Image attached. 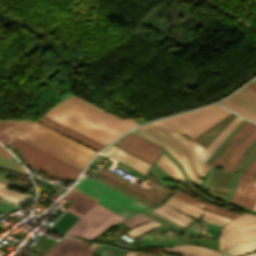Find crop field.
Here are the masks:
<instances>
[{
  "instance_id": "crop-field-2",
  "label": "crop field",
  "mask_w": 256,
  "mask_h": 256,
  "mask_svg": "<svg viewBox=\"0 0 256 256\" xmlns=\"http://www.w3.org/2000/svg\"><path fill=\"white\" fill-rule=\"evenodd\" d=\"M45 116L104 145L122 134L62 103L52 108Z\"/></svg>"
},
{
  "instance_id": "crop-field-47",
  "label": "crop field",
  "mask_w": 256,
  "mask_h": 256,
  "mask_svg": "<svg viewBox=\"0 0 256 256\" xmlns=\"http://www.w3.org/2000/svg\"><path fill=\"white\" fill-rule=\"evenodd\" d=\"M223 256H228V255H225V254H222Z\"/></svg>"
},
{
  "instance_id": "crop-field-39",
  "label": "crop field",
  "mask_w": 256,
  "mask_h": 256,
  "mask_svg": "<svg viewBox=\"0 0 256 256\" xmlns=\"http://www.w3.org/2000/svg\"><path fill=\"white\" fill-rule=\"evenodd\" d=\"M200 228H201L200 225H198V224L193 222L183 232H181V234L190 235V236H196L198 234Z\"/></svg>"
},
{
  "instance_id": "crop-field-34",
  "label": "crop field",
  "mask_w": 256,
  "mask_h": 256,
  "mask_svg": "<svg viewBox=\"0 0 256 256\" xmlns=\"http://www.w3.org/2000/svg\"><path fill=\"white\" fill-rule=\"evenodd\" d=\"M0 166L4 167V168H7L9 170L27 175L18 162L7 159V158H4V157H1V156H0Z\"/></svg>"
},
{
  "instance_id": "crop-field-11",
  "label": "crop field",
  "mask_w": 256,
  "mask_h": 256,
  "mask_svg": "<svg viewBox=\"0 0 256 256\" xmlns=\"http://www.w3.org/2000/svg\"><path fill=\"white\" fill-rule=\"evenodd\" d=\"M127 135V134H126ZM126 151L138 156L139 158L149 162L155 160L162 148L130 133L119 141L113 143Z\"/></svg>"
},
{
  "instance_id": "crop-field-14",
  "label": "crop field",
  "mask_w": 256,
  "mask_h": 256,
  "mask_svg": "<svg viewBox=\"0 0 256 256\" xmlns=\"http://www.w3.org/2000/svg\"><path fill=\"white\" fill-rule=\"evenodd\" d=\"M109 178H111L112 180L128 187L129 189L143 195L144 197L156 202V203H160L164 197L169 193V190L167 188H163V189H157V190H151V191H147L135 184H133L132 182L118 176L117 174L105 169V168H101L99 171H97Z\"/></svg>"
},
{
  "instance_id": "crop-field-22",
  "label": "crop field",
  "mask_w": 256,
  "mask_h": 256,
  "mask_svg": "<svg viewBox=\"0 0 256 256\" xmlns=\"http://www.w3.org/2000/svg\"><path fill=\"white\" fill-rule=\"evenodd\" d=\"M164 250L174 254H179L182 256H220L219 252L217 251H213L207 248L194 246V245L173 246L172 249L166 247ZM161 256H170V255L161 253Z\"/></svg>"
},
{
  "instance_id": "crop-field-41",
  "label": "crop field",
  "mask_w": 256,
  "mask_h": 256,
  "mask_svg": "<svg viewBox=\"0 0 256 256\" xmlns=\"http://www.w3.org/2000/svg\"><path fill=\"white\" fill-rule=\"evenodd\" d=\"M0 155L10 158L12 155L0 145Z\"/></svg>"
},
{
  "instance_id": "crop-field-43",
  "label": "crop field",
  "mask_w": 256,
  "mask_h": 256,
  "mask_svg": "<svg viewBox=\"0 0 256 256\" xmlns=\"http://www.w3.org/2000/svg\"><path fill=\"white\" fill-rule=\"evenodd\" d=\"M240 91H242V92H244V93H246V94H248V95H250V96L256 98V94H254V93H252V92H250V91H248V90H246V89H244V88L241 89Z\"/></svg>"
},
{
  "instance_id": "crop-field-9",
  "label": "crop field",
  "mask_w": 256,
  "mask_h": 256,
  "mask_svg": "<svg viewBox=\"0 0 256 256\" xmlns=\"http://www.w3.org/2000/svg\"><path fill=\"white\" fill-rule=\"evenodd\" d=\"M73 96L66 99L65 101H63V103L115 128L123 133L138 125L130 119L120 120V119H118V118L84 102V101L77 99L78 97L75 98L76 96L75 97H73Z\"/></svg>"
},
{
  "instance_id": "crop-field-23",
  "label": "crop field",
  "mask_w": 256,
  "mask_h": 256,
  "mask_svg": "<svg viewBox=\"0 0 256 256\" xmlns=\"http://www.w3.org/2000/svg\"><path fill=\"white\" fill-rule=\"evenodd\" d=\"M86 195L72 188L63 197L74 202L69 207L83 214L98 202Z\"/></svg>"
},
{
  "instance_id": "crop-field-46",
  "label": "crop field",
  "mask_w": 256,
  "mask_h": 256,
  "mask_svg": "<svg viewBox=\"0 0 256 256\" xmlns=\"http://www.w3.org/2000/svg\"><path fill=\"white\" fill-rule=\"evenodd\" d=\"M139 256H148V255L140 254Z\"/></svg>"
},
{
  "instance_id": "crop-field-4",
  "label": "crop field",
  "mask_w": 256,
  "mask_h": 256,
  "mask_svg": "<svg viewBox=\"0 0 256 256\" xmlns=\"http://www.w3.org/2000/svg\"><path fill=\"white\" fill-rule=\"evenodd\" d=\"M73 188L98 200L97 204L127 218L137 212L149 209L148 207L132 200L131 198L111 189L110 187L94 180L84 178Z\"/></svg>"
},
{
  "instance_id": "crop-field-28",
  "label": "crop field",
  "mask_w": 256,
  "mask_h": 256,
  "mask_svg": "<svg viewBox=\"0 0 256 256\" xmlns=\"http://www.w3.org/2000/svg\"><path fill=\"white\" fill-rule=\"evenodd\" d=\"M173 197L177 198V199H180L182 201H185L189 204H192L194 206H197L201 209L205 208V209H208V210H211V211H214V212H217L219 214H222V215H225V216H228V217H235L237 216L238 214H235V213H232V212H229V211H226V210H223L221 208H218V207H215L213 205H210V204H207V203H204V202H201L199 200H196V199H193L179 191H177Z\"/></svg>"
},
{
  "instance_id": "crop-field-38",
  "label": "crop field",
  "mask_w": 256,
  "mask_h": 256,
  "mask_svg": "<svg viewBox=\"0 0 256 256\" xmlns=\"http://www.w3.org/2000/svg\"><path fill=\"white\" fill-rule=\"evenodd\" d=\"M219 103L228 107V108H230V109H232V110H234V111H236V112H238V113H240V114H242V115H244V116H246V117H248V118H250V119H252V120H254V121H256V116H254V115H252V114H250V113H248V112H246V111H244V110H242V109H240V108H238V107H236V106H234V105H232V104H230V103H228L224 100L219 102Z\"/></svg>"
},
{
  "instance_id": "crop-field-40",
  "label": "crop field",
  "mask_w": 256,
  "mask_h": 256,
  "mask_svg": "<svg viewBox=\"0 0 256 256\" xmlns=\"http://www.w3.org/2000/svg\"><path fill=\"white\" fill-rule=\"evenodd\" d=\"M201 233H203V234H205V235H207L209 237L216 238L218 231L215 230V229H212V228H209V227L205 226L202 229Z\"/></svg>"
},
{
  "instance_id": "crop-field-49",
  "label": "crop field",
  "mask_w": 256,
  "mask_h": 256,
  "mask_svg": "<svg viewBox=\"0 0 256 256\" xmlns=\"http://www.w3.org/2000/svg\"><path fill=\"white\" fill-rule=\"evenodd\" d=\"M255 176H256V174H255Z\"/></svg>"
},
{
  "instance_id": "crop-field-37",
  "label": "crop field",
  "mask_w": 256,
  "mask_h": 256,
  "mask_svg": "<svg viewBox=\"0 0 256 256\" xmlns=\"http://www.w3.org/2000/svg\"><path fill=\"white\" fill-rule=\"evenodd\" d=\"M148 220H151V219H149V218H147V217H145V216H143L141 214H138V215H136V216H134V217H132V218L122 222V223H124L128 227L132 228V227H134V226H136V225H138L140 223L146 222Z\"/></svg>"
},
{
  "instance_id": "crop-field-6",
  "label": "crop field",
  "mask_w": 256,
  "mask_h": 256,
  "mask_svg": "<svg viewBox=\"0 0 256 256\" xmlns=\"http://www.w3.org/2000/svg\"><path fill=\"white\" fill-rule=\"evenodd\" d=\"M67 211L80 218L64 234L80 236L87 239L95 237L110 225L125 219L99 205L93 206L83 215L68 207Z\"/></svg>"
},
{
  "instance_id": "crop-field-18",
  "label": "crop field",
  "mask_w": 256,
  "mask_h": 256,
  "mask_svg": "<svg viewBox=\"0 0 256 256\" xmlns=\"http://www.w3.org/2000/svg\"><path fill=\"white\" fill-rule=\"evenodd\" d=\"M233 175L234 173L215 169L212 180L208 185V188L211 189L210 193L225 198L232 183Z\"/></svg>"
},
{
  "instance_id": "crop-field-10",
  "label": "crop field",
  "mask_w": 256,
  "mask_h": 256,
  "mask_svg": "<svg viewBox=\"0 0 256 256\" xmlns=\"http://www.w3.org/2000/svg\"><path fill=\"white\" fill-rule=\"evenodd\" d=\"M256 157L240 176L237 187L231 196V201L253 208L256 202Z\"/></svg>"
},
{
  "instance_id": "crop-field-27",
  "label": "crop field",
  "mask_w": 256,
  "mask_h": 256,
  "mask_svg": "<svg viewBox=\"0 0 256 256\" xmlns=\"http://www.w3.org/2000/svg\"><path fill=\"white\" fill-rule=\"evenodd\" d=\"M241 120L242 118L237 116L198 157L205 162Z\"/></svg>"
},
{
  "instance_id": "crop-field-26",
  "label": "crop field",
  "mask_w": 256,
  "mask_h": 256,
  "mask_svg": "<svg viewBox=\"0 0 256 256\" xmlns=\"http://www.w3.org/2000/svg\"><path fill=\"white\" fill-rule=\"evenodd\" d=\"M256 225V216L242 214L222 227L221 236Z\"/></svg>"
},
{
  "instance_id": "crop-field-29",
  "label": "crop field",
  "mask_w": 256,
  "mask_h": 256,
  "mask_svg": "<svg viewBox=\"0 0 256 256\" xmlns=\"http://www.w3.org/2000/svg\"><path fill=\"white\" fill-rule=\"evenodd\" d=\"M225 100L256 115V100L239 91Z\"/></svg>"
},
{
  "instance_id": "crop-field-45",
  "label": "crop field",
  "mask_w": 256,
  "mask_h": 256,
  "mask_svg": "<svg viewBox=\"0 0 256 256\" xmlns=\"http://www.w3.org/2000/svg\"><path fill=\"white\" fill-rule=\"evenodd\" d=\"M251 82H253V83H255V84H256V79H255V80H253V81H251Z\"/></svg>"
},
{
  "instance_id": "crop-field-7",
  "label": "crop field",
  "mask_w": 256,
  "mask_h": 256,
  "mask_svg": "<svg viewBox=\"0 0 256 256\" xmlns=\"http://www.w3.org/2000/svg\"><path fill=\"white\" fill-rule=\"evenodd\" d=\"M140 128L174 146L188 159L199 178L205 177L210 167L197 157L205 147L163 126L149 123Z\"/></svg>"
},
{
  "instance_id": "crop-field-3",
  "label": "crop field",
  "mask_w": 256,
  "mask_h": 256,
  "mask_svg": "<svg viewBox=\"0 0 256 256\" xmlns=\"http://www.w3.org/2000/svg\"><path fill=\"white\" fill-rule=\"evenodd\" d=\"M228 113V110L219 105H211L154 123L166 126L193 140Z\"/></svg>"
},
{
  "instance_id": "crop-field-35",
  "label": "crop field",
  "mask_w": 256,
  "mask_h": 256,
  "mask_svg": "<svg viewBox=\"0 0 256 256\" xmlns=\"http://www.w3.org/2000/svg\"><path fill=\"white\" fill-rule=\"evenodd\" d=\"M158 225H160V224L157 223V222H155V221H153V220H151V221H149V222H147V223H144V224H142V225H140V226H138V227H135V228L129 230V231L126 232V233H127L129 236L134 237V236H136V235H138V234H140V233H143V232H145V231H147V230H149V229H151V228H154V227H156V226H158Z\"/></svg>"
},
{
  "instance_id": "crop-field-8",
  "label": "crop field",
  "mask_w": 256,
  "mask_h": 256,
  "mask_svg": "<svg viewBox=\"0 0 256 256\" xmlns=\"http://www.w3.org/2000/svg\"><path fill=\"white\" fill-rule=\"evenodd\" d=\"M165 204L172 206L176 209H179L195 218H198L202 212H205L204 215L202 216V219L220 225L222 226L224 223L228 222L230 219L208 212V211H204L201 210L197 207H194L192 205H189L185 202H182L180 200H177L173 197H171L170 199H168L163 205H161L158 208L152 209L153 211L161 214L162 216L172 220L173 222L185 227L190 221H192V219L178 213L177 211L167 207Z\"/></svg>"
},
{
  "instance_id": "crop-field-25",
  "label": "crop field",
  "mask_w": 256,
  "mask_h": 256,
  "mask_svg": "<svg viewBox=\"0 0 256 256\" xmlns=\"http://www.w3.org/2000/svg\"><path fill=\"white\" fill-rule=\"evenodd\" d=\"M256 238V227L220 237V249Z\"/></svg>"
},
{
  "instance_id": "crop-field-5",
  "label": "crop field",
  "mask_w": 256,
  "mask_h": 256,
  "mask_svg": "<svg viewBox=\"0 0 256 256\" xmlns=\"http://www.w3.org/2000/svg\"><path fill=\"white\" fill-rule=\"evenodd\" d=\"M8 145L18 149L28 166L57 178L78 177L81 170L15 138Z\"/></svg>"
},
{
  "instance_id": "crop-field-44",
  "label": "crop field",
  "mask_w": 256,
  "mask_h": 256,
  "mask_svg": "<svg viewBox=\"0 0 256 256\" xmlns=\"http://www.w3.org/2000/svg\"><path fill=\"white\" fill-rule=\"evenodd\" d=\"M137 255H138L137 253L128 252L126 256H137Z\"/></svg>"
},
{
  "instance_id": "crop-field-19",
  "label": "crop field",
  "mask_w": 256,
  "mask_h": 256,
  "mask_svg": "<svg viewBox=\"0 0 256 256\" xmlns=\"http://www.w3.org/2000/svg\"><path fill=\"white\" fill-rule=\"evenodd\" d=\"M30 124H32V122L28 120H0V142L5 144Z\"/></svg>"
},
{
  "instance_id": "crop-field-12",
  "label": "crop field",
  "mask_w": 256,
  "mask_h": 256,
  "mask_svg": "<svg viewBox=\"0 0 256 256\" xmlns=\"http://www.w3.org/2000/svg\"><path fill=\"white\" fill-rule=\"evenodd\" d=\"M88 243L65 237L60 244L55 243L45 256H91L98 245L91 244L84 252Z\"/></svg>"
},
{
  "instance_id": "crop-field-1",
  "label": "crop field",
  "mask_w": 256,
  "mask_h": 256,
  "mask_svg": "<svg viewBox=\"0 0 256 256\" xmlns=\"http://www.w3.org/2000/svg\"><path fill=\"white\" fill-rule=\"evenodd\" d=\"M17 137L81 170L96 153L36 122Z\"/></svg>"
},
{
  "instance_id": "crop-field-21",
  "label": "crop field",
  "mask_w": 256,
  "mask_h": 256,
  "mask_svg": "<svg viewBox=\"0 0 256 256\" xmlns=\"http://www.w3.org/2000/svg\"><path fill=\"white\" fill-rule=\"evenodd\" d=\"M92 178H94V179H96V180H98V181H100V182L110 186L111 188H113V189H115V190H117V191H119V192H121V193H123V194H125V195H127L129 197H131L132 199H134V200H136V201H138V202H140V203H142V204H144V205H146V206H148L150 208L158 205V204H156V203H154V202L144 198L143 196H141V195H139V194H137V193L127 189L126 187H124V186H122V185L112 181L111 179H109V178H107V177H105V176H103V175H101V174H99L97 172L94 174V176Z\"/></svg>"
},
{
  "instance_id": "crop-field-24",
  "label": "crop field",
  "mask_w": 256,
  "mask_h": 256,
  "mask_svg": "<svg viewBox=\"0 0 256 256\" xmlns=\"http://www.w3.org/2000/svg\"><path fill=\"white\" fill-rule=\"evenodd\" d=\"M236 117V115L230 113L206 132L197 137L194 141L208 146L212 140Z\"/></svg>"
},
{
  "instance_id": "crop-field-30",
  "label": "crop field",
  "mask_w": 256,
  "mask_h": 256,
  "mask_svg": "<svg viewBox=\"0 0 256 256\" xmlns=\"http://www.w3.org/2000/svg\"><path fill=\"white\" fill-rule=\"evenodd\" d=\"M256 139V129L238 146L232 154L228 162L225 164L224 169L231 170L246 148Z\"/></svg>"
},
{
  "instance_id": "crop-field-33",
  "label": "crop field",
  "mask_w": 256,
  "mask_h": 256,
  "mask_svg": "<svg viewBox=\"0 0 256 256\" xmlns=\"http://www.w3.org/2000/svg\"><path fill=\"white\" fill-rule=\"evenodd\" d=\"M6 186L7 184L0 182V198L1 199L10 201L17 205L25 198V195L9 190L5 188Z\"/></svg>"
},
{
  "instance_id": "crop-field-48",
  "label": "crop field",
  "mask_w": 256,
  "mask_h": 256,
  "mask_svg": "<svg viewBox=\"0 0 256 256\" xmlns=\"http://www.w3.org/2000/svg\"><path fill=\"white\" fill-rule=\"evenodd\" d=\"M254 209H256V205H255Z\"/></svg>"
},
{
  "instance_id": "crop-field-32",
  "label": "crop field",
  "mask_w": 256,
  "mask_h": 256,
  "mask_svg": "<svg viewBox=\"0 0 256 256\" xmlns=\"http://www.w3.org/2000/svg\"><path fill=\"white\" fill-rule=\"evenodd\" d=\"M156 164L159 165L162 169H164L172 177L174 181L184 180V177L178 171L173 162L169 158H167L163 153L160 155Z\"/></svg>"
},
{
  "instance_id": "crop-field-17",
  "label": "crop field",
  "mask_w": 256,
  "mask_h": 256,
  "mask_svg": "<svg viewBox=\"0 0 256 256\" xmlns=\"http://www.w3.org/2000/svg\"><path fill=\"white\" fill-rule=\"evenodd\" d=\"M102 153L142 172V173H146V171L149 169V167L151 165L131 156L130 154L114 147V146H110L108 147L105 151H103Z\"/></svg>"
},
{
  "instance_id": "crop-field-16",
  "label": "crop field",
  "mask_w": 256,
  "mask_h": 256,
  "mask_svg": "<svg viewBox=\"0 0 256 256\" xmlns=\"http://www.w3.org/2000/svg\"><path fill=\"white\" fill-rule=\"evenodd\" d=\"M167 228L161 226L148 234L140 237L138 240L141 242L152 245V246H165V245H174V244H183L185 242L179 240L172 233L166 232L159 235L160 232L166 230Z\"/></svg>"
},
{
  "instance_id": "crop-field-31",
  "label": "crop field",
  "mask_w": 256,
  "mask_h": 256,
  "mask_svg": "<svg viewBox=\"0 0 256 256\" xmlns=\"http://www.w3.org/2000/svg\"><path fill=\"white\" fill-rule=\"evenodd\" d=\"M254 250H256V239L249 242L242 243V244H238L235 246H231L225 249H221L220 252L231 255V256H239L241 254L245 256L244 253L254 251ZM247 256H256V253L247 255Z\"/></svg>"
},
{
  "instance_id": "crop-field-13",
  "label": "crop field",
  "mask_w": 256,
  "mask_h": 256,
  "mask_svg": "<svg viewBox=\"0 0 256 256\" xmlns=\"http://www.w3.org/2000/svg\"><path fill=\"white\" fill-rule=\"evenodd\" d=\"M256 128V125L246 121L230 138L226 145L208 164L215 168L218 164L224 166L237 146Z\"/></svg>"
},
{
  "instance_id": "crop-field-20",
  "label": "crop field",
  "mask_w": 256,
  "mask_h": 256,
  "mask_svg": "<svg viewBox=\"0 0 256 256\" xmlns=\"http://www.w3.org/2000/svg\"><path fill=\"white\" fill-rule=\"evenodd\" d=\"M38 121L60 131V132L66 134V135H68V136H70V137H72V138L98 150V151L104 147V145H101V144H99V143H97V142H95V141H93V140H91V139H89V138L45 117V116L41 117Z\"/></svg>"
},
{
  "instance_id": "crop-field-15",
  "label": "crop field",
  "mask_w": 256,
  "mask_h": 256,
  "mask_svg": "<svg viewBox=\"0 0 256 256\" xmlns=\"http://www.w3.org/2000/svg\"><path fill=\"white\" fill-rule=\"evenodd\" d=\"M133 132L159 144L160 146L166 148L176 159H178L181 163V165L183 166L184 170L186 171L188 177L193 180L196 181L199 185H201L202 180H199V178L197 177V175L194 173V171L192 170L189 162L187 161L186 158H184L180 153H178L176 151V149L174 147H172L171 145L161 141L160 139L154 137L153 135L137 128L135 130H133Z\"/></svg>"
},
{
  "instance_id": "crop-field-42",
  "label": "crop field",
  "mask_w": 256,
  "mask_h": 256,
  "mask_svg": "<svg viewBox=\"0 0 256 256\" xmlns=\"http://www.w3.org/2000/svg\"><path fill=\"white\" fill-rule=\"evenodd\" d=\"M244 88L256 93V85L251 82L248 83Z\"/></svg>"
},
{
  "instance_id": "crop-field-36",
  "label": "crop field",
  "mask_w": 256,
  "mask_h": 256,
  "mask_svg": "<svg viewBox=\"0 0 256 256\" xmlns=\"http://www.w3.org/2000/svg\"><path fill=\"white\" fill-rule=\"evenodd\" d=\"M190 243L202 244L218 250L217 241L203 236V239L190 238Z\"/></svg>"
}]
</instances>
